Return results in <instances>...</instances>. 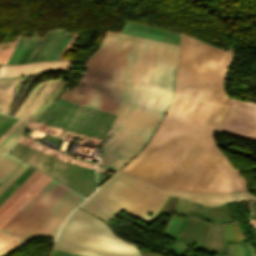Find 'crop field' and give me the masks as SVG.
Returning <instances> with one entry per match:
<instances>
[{"label":"crop field","instance_id":"obj_1","mask_svg":"<svg viewBox=\"0 0 256 256\" xmlns=\"http://www.w3.org/2000/svg\"><path fill=\"white\" fill-rule=\"evenodd\" d=\"M231 57V50L181 33L173 101L145 148L121 171L172 189L246 190L213 140L229 112L222 81Z\"/></svg>","mask_w":256,"mask_h":256},{"label":"crop field","instance_id":"obj_2","mask_svg":"<svg viewBox=\"0 0 256 256\" xmlns=\"http://www.w3.org/2000/svg\"><path fill=\"white\" fill-rule=\"evenodd\" d=\"M177 57L176 45L107 31L78 86L59 97L117 114L102 164L119 169L149 140L172 98Z\"/></svg>","mask_w":256,"mask_h":256},{"label":"crop field","instance_id":"obj_3","mask_svg":"<svg viewBox=\"0 0 256 256\" xmlns=\"http://www.w3.org/2000/svg\"><path fill=\"white\" fill-rule=\"evenodd\" d=\"M167 195H174L186 200L200 202L207 206H216L227 202L256 199L247 192L227 194L187 193L159 188L123 173H115L80 207L109 221L118 213H125L136 218L135 224L145 227L137 218L149 221L156 214ZM234 196H237L236 198ZM153 213L151 217L147 216Z\"/></svg>","mask_w":256,"mask_h":256},{"label":"crop field","instance_id":"obj_4","mask_svg":"<svg viewBox=\"0 0 256 256\" xmlns=\"http://www.w3.org/2000/svg\"><path fill=\"white\" fill-rule=\"evenodd\" d=\"M54 249L87 256H140L136 246L79 207L65 222Z\"/></svg>","mask_w":256,"mask_h":256},{"label":"crop field","instance_id":"obj_5","mask_svg":"<svg viewBox=\"0 0 256 256\" xmlns=\"http://www.w3.org/2000/svg\"><path fill=\"white\" fill-rule=\"evenodd\" d=\"M84 198L69 189L19 240L27 243L36 236L54 239L63 220Z\"/></svg>","mask_w":256,"mask_h":256},{"label":"crop field","instance_id":"obj_6","mask_svg":"<svg viewBox=\"0 0 256 256\" xmlns=\"http://www.w3.org/2000/svg\"><path fill=\"white\" fill-rule=\"evenodd\" d=\"M227 120L217 130L256 141V104L231 98Z\"/></svg>","mask_w":256,"mask_h":256},{"label":"crop field","instance_id":"obj_7","mask_svg":"<svg viewBox=\"0 0 256 256\" xmlns=\"http://www.w3.org/2000/svg\"><path fill=\"white\" fill-rule=\"evenodd\" d=\"M61 184V183H60ZM58 185L11 233L20 238L67 190Z\"/></svg>","mask_w":256,"mask_h":256},{"label":"crop field","instance_id":"obj_8","mask_svg":"<svg viewBox=\"0 0 256 256\" xmlns=\"http://www.w3.org/2000/svg\"><path fill=\"white\" fill-rule=\"evenodd\" d=\"M71 62L72 61H54V62H38V63H30V64L0 66V77L1 78L17 77V76H23L26 74H31L39 71L69 68L67 64Z\"/></svg>","mask_w":256,"mask_h":256},{"label":"crop field","instance_id":"obj_9","mask_svg":"<svg viewBox=\"0 0 256 256\" xmlns=\"http://www.w3.org/2000/svg\"><path fill=\"white\" fill-rule=\"evenodd\" d=\"M41 174L1 215L0 229L50 180Z\"/></svg>","mask_w":256,"mask_h":256},{"label":"crop field","instance_id":"obj_10","mask_svg":"<svg viewBox=\"0 0 256 256\" xmlns=\"http://www.w3.org/2000/svg\"><path fill=\"white\" fill-rule=\"evenodd\" d=\"M58 80L59 79H55V80H51V81H44V82H41V83H38L37 85H35L33 87V89L31 90L30 94L28 95V97L26 98V100L23 102V104L17 110L15 117L29 120V118L36 111V109L39 107V105L42 103V101L46 98V96L49 94V92L52 90V88L55 86V84L58 82ZM44 84H45V86L42 88V90L39 92V94L36 96V98L30 104V102L32 101L34 96L37 94V92L40 90V88ZM29 104H30V106L28 107Z\"/></svg>","mask_w":256,"mask_h":256},{"label":"crop field","instance_id":"obj_11","mask_svg":"<svg viewBox=\"0 0 256 256\" xmlns=\"http://www.w3.org/2000/svg\"><path fill=\"white\" fill-rule=\"evenodd\" d=\"M55 181L51 179L1 230L9 234L59 184Z\"/></svg>","mask_w":256,"mask_h":256},{"label":"crop field","instance_id":"obj_12","mask_svg":"<svg viewBox=\"0 0 256 256\" xmlns=\"http://www.w3.org/2000/svg\"><path fill=\"white\" fill-rule=\"evenodd\" d=\"M26 77L17 79L0 80V112L6 113L14 95L16 94L19 86ZM20 80V81H19ZM19 81V83H18ZM18 83L13 95L11 96L16 84Z\"/></svg>","mask_w":256,"mask_h":256},{"label":"crop field","instance_id":"obj_13","mask_svg":"<svg viewBox=\"0 0 256 256\" xmlns=\"http://www.w3.org/2000/svg\"><path fill=\"white\" fill-rule=\"evenodd\" d=\"M221 225L222 224H210V226L208 228V231L206 233V236H205V241L203 243L202 250H205V251H208V252L212 251L215 239L217 237V234H218V232L220 230ZM221 233H222V227H221V230H220V232L218 234V237L216 239V242H215V245H214V248H213L212 252H214L215 249H216V246H217V243L219 241ZM221 241H222V235H221V238H220V241L218 243V246H217V249H216L215 253L217 252L218 247H219ZM221 248H222V243H221L217 253H221Z\"/></svg>","mask_w":256,"mask_h":256},{"label":"crop field","instance_id":"obj_14","mask_svg":"<svg viewBox=\"0 0 256 256\" xmlns=\"http://www.w3.org/2000/svg\"><path fill=\"white\" fill-rule=\"evenodd\" d=\"M66 83L67 82L60 79L56 86L53 88V90L50 92V94L47 96V98L43 101V103L34 113V115L32 114L33 116L31 117V119H29L35 121L48 108V106L59 96V94L63 91ZM47 103H49V105Z\"/></svg>","mask_w":256,"mask_h":256},{"label":"crop field","instance_id":"obj_15","mask_svg":"<svg viewBox=\"0 0 256 256\" xmlns=\"http://www.w3.org/2000/svg\"><path fill=\"white\" fill-rule=\"evenodd\" d=\"M20 163L21 160L4 152L0 156V182L7 177Z\"/></svg>","mask_w":256,"mask_h":256},{"label":"crop field","instance_id":"obj_16","mask_svg":"<svg viewBox=\"0 0 256 256\" xmlns=\"http://www.w3.org/2000/svg\"><path fill=\"white\" fill-rule=\"evenodd\" d=\"M41 174L35 171L1 206L0 214Z\"/></svg>","mask_w":256,"mask_h":256},{"label":"crop field","instance_id":"obj_17","mask_svg":"<svg viewBox=\"0 0 256 256\" xmlns=\"http://www.w3.org/2000/svg\"><path fill=\"white\" fill-rule=\"evenodd\" d=\"M26 121H22L1 143H0V155L7 150L15 140L18 138Z\"/></svg>","mask_w":256,"mask_h":256},{"label":"crop field","instance_id":"obj_18","mask_svg":"<svg viewBox=\"0 0 256 256\" xmlns=\"http://www.w3.org/2000/svg\"><path fill=\"white\" fill-rule=\"evenodd\" d=\"M22 34L19 35L16 38L14 43L6 41V42L0 44V63H6L7 62L11 52L13 51V49H14L15 45L17 44V42L20 40Z\"/></svg>","mask_w":256,"mask_h":256},{"label":"crop field","instance_id":"obj_19","mask_svg":"<svg viewBox=\"0 0 256 256\" xmlns=\"http://www.w3.org/2000/svg\"><path fill=\"white\" fill-rule=\"evenodd\" d=\"M29 165L22 163L1 185L0 194L28 167Z\"/></svg>","mask_w":256,"mask_h":256},{"label":"crop field","instance_id":"obj_20","mask_svg":"<svg viewBox=\"0 0 256 256\" xmlns=\"http://www.w3.org/2000/svg\"><path fill=\"white\" fill-rule=\"evenodd\" d=\"M41 73H35V74H32V77L31 79L29 80V82L27 83V85L25 86V88L22 90V92L20 93V95L18 96L12 110L10 111L9 115H14L16 109L18 108L19 104L21 103V101L23 100V98L25 97L28 89L30 88L32 82L34 81L35 78L39 77Z\"/></svg>","mask_w":256,"mask_h":256},{"label":"crop field","instance_id":"obj_21","mask_svg":"<svg viewBox=\"0 0 256 256\" xmlns=\"http://www.w3.org/2000/svg\"><path fill=\"white\" fill-rule=\"evenodd\" d=\"M205 210H206L205 206H202V205H200L198 203L192 202V204L190 206V209H189V212H188L187 215L194 216V217H199V218H203L204 219Z\"/></svg>","mask_w":256,"mask_h":256},{"label":"crop field","instance_id":"obj_22","mask_svg":"<svg viewBox=\"0 0 256 256\" xmlns=\"http://www.w3.org/2000/svg\"><path fill=\"white\" fill-rule=\"evenodd\" d=\"M190 204H191V202L185 201V200L179 198L174 210L178 213L186 215Z\"/></svg>","mask_w":256,"mask_h":256},{"label":"crop field","instance_id":"obj_23","mask_svg":"<svg viewBox=\"0 0 256 256\" xmlns=\"http://www.w3.org/2000/svg\"><path fill=\"white\" fill-rule=\"evenodd\" d=\"M223 242H233L231 224H223Z\"/></svg>","mask_w":256,"mask_h":256},{"label":"crop field","instance_id":"obj_24","mask_svg":"<svg viewBox=\"0 0 256 256\" xmlns=\"http://www.w3.org/2000/svg\"><path fill=\"white\" fill-rule=\"evenodd\" d=\"M33 38H34V36H33ZM33 38L30 40V42H29V44H28V46H27L26 50L24 51V53H23L22 57L20 58L19 62H21V60H22V58H23V56H24L25 52L27 51V49H28V47H29V45H30L31 41L33 40ZM37 40H38V39H37ZM35 41H36V38H34V40L32 41V43H31V45H30V47H29L28 51L26 52V54H25V56H24V58H23L22 62L26 61V59H27V57H28V55H29V53H30V50H31V48H32L33 44L35 43ZM36 42H37V41H36ZM33 47H34V46H33ZM32 50H33V48H32ZM36 50H37V49H36ZM36 50H35V51H36ZM35 51H34V52H32V51H31V53H30V55H29V57H28L27 61H30V60H31V58H32V56L34 55Z\"/></svg>","mask_w":256,"mask_h":256},{"label":"crop field","instance_id":"obj_25","mask_svg":"<svg viewBox=\"0 0 256 256\" xmlns=\"http://www.w3.org/2000/svg\"><path fill=\"white\" fill-rule=\"evenodd\" d=\"M233 226V233H234V242H242L245 241L237 224L236 223H232Z\"/></svg>","mask_w":256,"mask_h":256},{"label":"crop field","instance_id":"obj_26","mask_svg":"<svg viewBox=\"0 0 256 256\" xmlns=\"http://www.w3.org/2000/svg\"><path fill=\"white\" fill-rule=\"evenodd\" d=\"M16 240L11 238V237H9V236H7V235L2 237V238H0V249H2L4 247H6L7 245L15 242Z\"/></svg>","mask_w":256,"mask_h":256},{"label":"crop field","instance_id":"obj_27","mask_svg":"<svg viewBox=\"0 0 256 256\" xmlns=\"http://www.w3.org/2000/svg\"><path fill=\"white\" fill-rule=\"evenodd\" d=\"M53 31H54V29H53V30H51V32L49 31V32H50V34H49V32L46 34V36L44 37V39H43V41H42V43H41L40 47H39V48H38V50L36 51V53H35V55H34V57H33V59H32V60H35L36 56L38 55L39 51H40V50H41V48H42V45H43V43H44V41H45L46 37H47V36H48V34H49L48 38L46 39V41H45V43H44L43 48L45 47V45H46V43L48 42V40L50 39V37H51V35H52ZM43 48H42V50H43ZM42 50L40 51V53L42 52ZM40 53H39V55H40ZM39 55H38V56H39ZM38 56H37V58H38ZM37 58H36V60H37Z\"/></svg>","mask_w":256,"mask_h":256},{"label":"crop field","instance_id":"obj_28","mask_svg":"<svg viewBox=\"0 0 256 256\" xmlns=\"http://www.w3.org/2000/svg\"><path fill=\"white\" fill-rule=\"evenodd\" d=\"M21 119H18L1 137L0 142L21 122Z\"/></svg>","mask_w":256,"mask_h":256},{"label":"crop field","instance_id":"obj_29","mask_svg":"<svg viewBox=\"0 0 256 256\" xmlns=\"http://www.w3.org/2000/svg\"><path fill=\"white\" fill-rule=\"evenodd\" d=\"M247 245V250H248V256H256L252 248L250 247L249 243H246ZM246 245L243 243L244 246V251H245V256H247V250H246Z\"/></svg>","mask_w":256,"mask_h":256},{"label":"crop field","instance_id":"obj_30","mask_svg":"<svg viewBox=\"0 0 256 256\" xmlns=\"http://www.w3.org/2000/svg\"><path fill=\"white\" fill-rule=\"evenodd\" d=\"M20 243H21V242L17 241V242H15V243H13V244L7 246L6 248L0 250V254H2L3 252H5V251H7V250H9V249H11V248H13L14 246H16V245H18V244H20Z\"/></svg>","mask_w":256,"mask_h":256},{"label":"crop field","instance_id":"obj_31","mask_svg":"<svg viewBox=\"0 0 256 256\" xmlns=\"http://www.w3.org/2000/svg\"><path fill=\"white\" fill-rule=\"evenodd\" d=\"M240 247H241V256H244L242 243H240ZM237 256H240L239 243H237Z\"/></svg>","mask_w":256,"mask_h":256},{"label":"crop field","instance_id":"obj_32","mask_svg":"<svg viewBox=\"0 0 256 256\" xmlns=\"http://www.w3.org/2000/svg\"><path fill=\"white\" fill-rule=\"evenodd\" d=\"M232 256H236V246H235V244H233V255Z\"/></svg>","mask_w":256,"mask_h":256},{"label":"crop field","instance_id":"obj_33","mask_svg":"<svg viewBox=\"0 0 256 256\" xmlns=\"http://www.w3.org/2000/svg\"><path fill=\"white\" fill-rule=\"evenodd\" d=\"M251 221H252L253 224L256 226V220H252V219H251Z\"/></svg>","mask_w":256,"mask_h":256},{"label":"crop field","instance_id":"obj_34","mask_svg":"<svg viewBox=\"0 0 256 256\" xmlns=\"http://www.w3.org/2000/svg\"><path fill=\"white\" fill-rule=\"evenodd\" d=\"M4 235H6V234H4V233L0 232V237H2V236H4Z\"/></svg>","mask_w":256,"mask_h":256}]
</instances>
